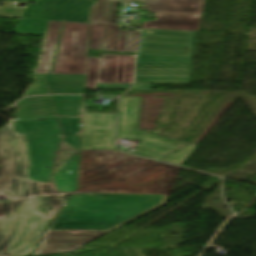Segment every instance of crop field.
Returning a JSON list of instances; mask_svg holds the SVG:
<instances>
[{
  "instance_id": "8a807250",
  "label": "crop field",
  "mask_w": 256,
  "mask_h": 256,
  "mask_svg": "<svg viewBox=\"0 0 256 256\" xmlns=\"http://www.w3.org/2000/svg\"><path fill=\"white\" fill-rule=\"evenodd\" d=\"M24 141L11 122L0 130V190L14 198L0 203V256H26L32 252L60 206L51 183L27 179ZM40 195L53 205L54 211L48 218L41 212Z\"/></svg>"
},
{
  "instance_id": "ac0d7876",
  "label": "crop field",
  "mask_w": 256,
  "mask_h": 256,
  "mask_svg": "<svg viewBox=\"0 0 256 256\" xmlns=\"http://www.w3.org/2000/svg\"><path fill=\"white\" fill-rule=\"evenodd\" d=\"M154 162L116 151H82L79 191L168 194L179 168L161 163L128 178L81 187L84 184L130 175Z\"/></svg>"
},
{
  "instance_id": "34b2d1b8",
  "label": "crop field",
  "mask_w": 256,
  "mask_h": 256,
  "mask_svg": "<svg viewBox=\"0 0 256 256\" xmlns=\"http://www.w3.org/2000/svg\"><path fill=\"white\" fill-rule=\"evenodd\" d=\"M167 199L168 195L78 194L76 230L112 231Z\"/></svg>"
},
{
  "instance_id": "412701ff",
  "label": "crop field",
  "mask_w": 256,
  "mask_h": 256,
  "mask_svg": "<svg viewBox=\"0 0 256 256\" xmlns=\"http://www.w3.org/2000/svg\"><path fill=\"white\" fill-rule=\"evenodd\" d=\"M140 98L121 97L116 139H143L134 154L181 165L195 145L138 131Z\"/></svg>"
},
{
  "instance_id": "f4fd0767",
  "label": "crop field",
  "mask_w": 256,
  "mask_h": 256,
  "mask_svg": "<svg viewBox=\"0 0 256 256\" xmlns=\"http://www.w3.org/2000/svg\"><path fill=\"white\" fill-rule=\"evenodd\" d=\"M89 24L64 22L52 74H86Z\"/></svg>"
},
{
  "instance_id": "dd49c442",
  "label": "crop field",
  "mask_w": 256,
  "mask_h": 256,
  "mask_svg": "<svg viewBox=\"0 0 256 256\" xmlns=\"http://www.w3.org/2000/svg\"><path fill=\"white\" fill-rule=\"evenodd\" d=\"M105 233L107 232L83 231V233H69V231H46L40 248L32 255L70 251Z\"/></svg>"
},
{
  "instance_id": "e52e79f7",
  "label": "crop field",
  "mask_w": 256,
  "mask_h": 256,
  "mask_svg": "<svg viewBox=\"0 0 256 256\" xmlns=\"http://www.w3.org/2000/svg\"><path fill=\"white\" fill-rule=\"evenodd\" d=\"M134 57L127 55H102L98 83H132Z\"/></svg>"
},
{
  "instance_id": "d8731c3e",
  "label": "crop field",
  "mask_w": 256,
  "mask_h": 256,
  "mask_svg": "<svg viewBox=\"0 0 256 256\" xmlns=\"http://www.w3.org/2000/svg\"><path fill=\"white\" fill-rule=\"evenodd\" d=\"M118 25L107 24L103 51L137 52L139 31H118Z\"/></svg>"
},
{
  "instance_id": "5a996713",
  "label": "crop field",
  "mask_w": 256,
  "mask_h": 256,
  "mask_svg": "<svg viewBox=\"0 0 256 256\" xmlns=\"http://www.w3.org/2000/svg\"><path fill=\"white\" fill-rule=\"evenodd\" d=\"M154 13L200 14L203 0H141ZM196 5V8L190 7Z\"/></svg>"
},
{
  "instance_id": "3316defc",
  "label": "crop field",
  "mask_w": 256,
  "mask_h": 256,
  "mask_svg": "<svg viewBox=\"0 0 256 256\" xmlns=\"http://www.w3.org/2000/svg\"><path fill=\"white\" fill-rule=\"evenodd\" d=\"M157 20L147 21L143 28L198 30L201 16L157 15Z\"/></svg>"
},
{
  "instance_id": "28ad6ade",
  "label": "crop field",
  "mask_w": 256,
  "mask_h": 256,
  "mask_svg": "<svg viewBox=\"0 0 256 256\" xmlns=\"http://www.w3.org/2000/svg\"><path fill=\"white\" fill-rule=\"evenodd\" d=\"M63 206L47 230H75L77 193H59Z\"/></svg>"
},
{
  "instance_id": "d1516ede",
  "label": "crop field",
  "mask_w": 256,
  "mask_h": 256,
  "mask_svg": "<svg viewBox=\"0 0 256 256\" xmlns=\"http://www.w3.org/2000/svg\"><path fill=\"white\" fill-rule=\"evenodd\" d=\"M67 0L37 2L35 8L26 9L22 18L62 21Z\"/></svg>"
},
{
  "instance_id": "22f410ed",
  "label": "crop field",
  "mask_w": 256,
  "mask_h": 256,
  "mask_svg": "<svg viewBox=\"0 0 256 256\" xmlns=\"http://www.w3.org/2000/svg\"><path fill=\"white\" fill-rule=\"evenodd\" d=\"M62 22L49 21L47 35L44 42L40 63L35 70V74L50 73L51 63L54 57V51L61 28Z\"/></svg>"
},
{
  "instance_id": "cbeb9de0",
  "label": "crop field",
  "mask_w": 256,
  "mask_h": 256,
  "mask_svg": "<svg viewBox=\"0 0 256 256\" xmlns=\"http://www.w3.org/2000/svg\"><path fill=\"white\" fill-rule=\"evenodd\" d=\"M81 150H116L113 131H83Z\"/></svg>"
},
{
  "instance_id": "5142ce71",
  "label": "crop field",
  "mask_w": 256,
  "mask_h": 256,
  "mask_svg": "<svg viewBox=\"0 0 256 256\" xmlns=\"http://www.w3.org/2000/svg\"><path fill=\"white\" fill-rule=\"evenodd\" d=\"M116 0H98V3L92 6L90 23H110L113 24L115 17Z\"/></svg>"
},
{
  "instance_id": "d9b57169",
  "label": "crop field",
  "mask_w": 256,
  "mask_h": 256,
  "mask_svg": "<svg viewBox=\"0 0 256 256\" xmlns=\"http://www.w3.org/2000/svg\"><path fill=\"white\" fill-rule=\"evenodd\" d=\"M115 114H85L83 130H114Z\"/></svg>"
},
{
  "instance_id": "733c2abd",
  "label": "crop field",
  "mask_w": 256,
  "mask_h": 256,
  "mask_svg": "<svg viewBox=\"0 0 256 256\" xmlns=\"http://www.w3.org/2000/svg\"><path fill=\"white\" fill-rule=\"evenodd\" d=\"M89 8V0H69L64 21L86 23Z\"/></svg>"
},
{
  "instance_id": "4a817a6b",
  "label": "crop field",
  "mask_w": 256,
  "mask_h": 256,
  "mask_svg": "<svg viewBox=\"0 0 256 256\" xmlns=\"http://www.w3.org/2000/svg\"><path fill=\"white\" fill-rule=\"evenodd\" d=\"M46 21L21 19L15 34L43 36Z\"/></svg>"
},
{
  "instance_id": "bc2a9ffb",
  "label": "crop field",
  "mask_w": 256,
  "mask_h": 256,
  "mask_svg": "<svg viewBox=\"0 0 256 256\" xmlns=\"http://www.w3.org/2000/svg\"><path fill=\"white\" fill-rule=\"evenodd\" d=\"M106 24H90V49L102 51Z\"/></svg>"
},
{
  "instance_id": "214f88e0",
  "label": "crop field",
  "mask_w": 256,
  "mask_h": 256,
  "mask_svg": "<svg viewBox=\"0 0 256 256\" xmlns=\"http://www.w3.org/2000/svg\"><path fill=\"white\" fill-rule=\"evenodd\" d=\"M99 58H88L86 89H96Z\"/></svg>"
},
{
  "instance_id": "92a150f3",
  "label": "crop field",
  "mask_w": 256,
  "mask_h": 256,
  "mask_svg": "<svg viewBox=\"0 0 256 256\" xmlns=\"http://www.w3.org/2000/svg\"><path fill=\"white\" fill-rule=\"evenodd\" d=\"M131 84H98L97 89L128 90Z\"/></svg>"
},
{
  "instance_id": "dafd665d",
  "label": "crop field",
  "mask_w": 256,
  "mask_h": 256,
  "mask_svg": "<svg viewBox=\"0 0 256 256\" xmlns=\"http://www.w3.org/2000/svg\"><path fill=\"white\" fill-rule=\"evenodd\" d=\"M151 84H136L132 90H151Z\"/></svg>"
},
{
  "instance_id": "00972430",
  "label": "crop field",
  "mask_w": 256,
  "mask_h": 256,
  "mask_svg": "<svg viewBox=\"0 0 256 256\" xmlns=\"http://www.w3.org/2000/svg\"><path fill=\"white\" fill-rule=\"evenodd\" d=\"M138 1H140V0H138Z\"/></svg>"
}]
</instances>
